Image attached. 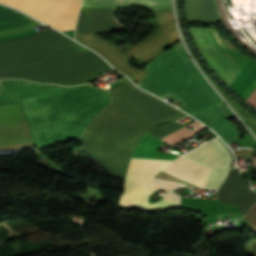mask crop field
<instances>
[{"instance_id":"crop-field-1","label":"crop field","mask_w":256,"mask_h":256,"mask_svg":"<svg viewBox=\"0 0 256 256\" xmlns=\"http://www.w3.org/2000/svg\"><path fill=\"white\" fill-rule=\"evenodd\" d=\"M110 100L107 89L90 84L64 87L0 80V105L21 102L36 147L79 137Z\"/></svg>"},{"instance_id":"crop-field-2","label":"crop field","mask_w":256,"mask_h":256,"mask_svg":"<svg viewBox=\"0 0 256 256\" xmlns=\"http://www.w3.org/2000/svg\"><path fill=\"white\" fill-rule=\"evenodd\" d=\"M112 103L77 140L113 176L124 178L132 152L151 126L187 116L127 79L109 90Z\"/></svg>"},{"instance_id":"crop-field-3","label":"crop field","mask_w":256,"mask_h":256,"mask_svg":"<svg viewBox=\"0 0 256 256\" xmlns=\"http://www.w3.org/2000/svg\"><path fill=\"white\" fill-rule=\"evenodd\" d=\"M95 53L48 28L0 42V78L43 83H86L109 69Z\"/></svg>"},{"instance_id":"crop-field-4","label":"crop field","mask_w":256,"mask_h":256,"mask_svg":"<svg viewBox=\"0 0 256 256\" xmlns=\"http://www.w3.org/2000/svg\"><path fill=\"white\" fill-rule=\"evenodd\" d=\"M137 85L162 99L168 96L180 101V109L212 127L227 144L241 136L226 119L234 116L195 69L180 43L150 62L146 77Z\"/></svg>"},{"instance_id":"crop-field-5","label":"crop field","mask_w":256,"mask_h":256,"mask_svg":"<svg viewBox=\"0 0 256 256\" xmlns=\"http://www.w3.org/2000/svg\"><path fill=\"white\" fill-rule=\"evenodd\" d=\"M151 12L159 27L122 52L116 46L101 40L94 34L76 35V40L100 53L117 70L129 76L134 82L138 81L145 71L130 67L128 65L130 57L147 63L178 39L171 10Z\"/></svg>"},{"instance_id":"crop-field-6","label":"crop field","mask_w":256,"mask_h":256,"mask_svg":"<svg viewBox=\"0 0 256 256\" xmlns=\"http://www.w3.org/2000/svg\"><path fill=\"white\" fill-rule=\"evenodd\" d=\"M170 161L131 158L124 182V193L118 205L125 207L138 206L152 211L168 209L180 205V195L173 191L162 194V198L152 204L146 200L150 194L160 188L166 191L178 186H186L185 183L153 178Z\"/></svg>"},{"instance_id":"crop-field-7","label":"crop field","mask_w":256,"mask_h":256,"mask_svg":"<svg viewBox=\"0 0 256 256\" xmlns=\"http://www.w3.org/2000/svg\"><path fill=\"white\" fill-rule=\"evenodd\" d=\"M184 155L199 163L210 165L212 168L179 156L162 171L201 188L205 185L210 168L211 171L204 188L216 189L228 170L226 167L231 165L229 152L217 139Z\"/></svg>"},{"instance_id":"crop-field-8","label":"crop field","mask_w":256,"mask_h":256,"mask_svg":"<svg viewBox=\"0 0 256 256\" xmlns=\"http://www.w3.org/2000/svg\"><path fill=\"white\" fill-rule=\"evenodd\" d=\"M60 31L74 29L80 0H0Z\"/></svg>"},{"instance_id":"crop-field-9","label":"crop field","mask_w":256,"mask_h":256,"mask_svg":"<svg viewBox=\"0 0 256 256\" xmlns=\"http://www.w3.org/2000/svg\"><path fill=\"white\" fill-rule=\"evenodd\" d=\"M201 53L214 71L229 85L241 72L230 58L214 31L189 26ZM256 108V85L244 98Z\"/></svg>"},{"instance_id":"crop-field-10","label":"crop field","mask_w":256,"mask_h":256,"mask_svg":"<svg viewBox=\"0 0 256 256\" xmlns=\"http://www.w3.org/2000/svg\"><path fill=\"white\" fill-rule=\"evenodd\" d=\"M25 123L20 103L0 106V126ZM33 142L26 124L0 127V147ZM34 144H23L2 147L0 151L33 147Z\"/></svg>"},{"instance_id":"crop-field-11","label":"crop field","mask_w":256,"mask_h":256,"mask_svg":"<svg viewBox=\"0 0 256 256\" xmlns=\"http://www.w3.org/2000/svg\"><path fill=\"white\" fill-rule=\"evenodd\" d=\"M218 202L241 206L237 211L243 215L256 203V195L249 191L245 180L234 170L230 169L227 177L218 189Z\"/></svg>"},{"instance_id":"crop-field-12","label":"crop field","mask_w":256,"mask_h":256,"mask_svg":"<svg viewBox=\"0 0 256 256\" xmlns=\"http://www.w3.org/2000/svg\"><path fill=\"white\" fill-rule=\"evenodd\" d=\"M113 9L81 10L76 33L118 31L122 27L112 18Z\"/></svg>"},{"instance_id":"crop-field-13","label":"crop field","mask_w":256,"mask_h":256,"mask_svg":"<svg viewBox=\"0 0 256 256\" xmlns=\"http://www.w3.org/2000/svg\"><path fill=\"white\" fill-rule=\"evenodd\" d=\"M188 21H209L219 17L212 0H186Z\"/></svg>"},{"instance_id":"crop-field-14","label":"crop field","mask_w":256,"mask_h":256,"mask_svg":"<svg viewBox=\"0 0 256 256\" xmlns=\"http://www.w3.org/2000/svg\"><path fill=\"white\" fill-rule=\"evenodd\" d=\"M33 19L0 5V29L13 28Z\"/></svg>"},{"instance_id":"crop-field-15","label":"crop field","mask_w":256,"mask_h":256,"mask_svg":"<svg viewBox=\"0 0 256 256\" xmlns=\"http://www.w3.org/2000/svg\"><path fill=\"white\" fill-rule=\"evenodd\" d=\"M171 3V0H83L82 6H100V5H129V4H165Z\"/></svg>"},{"instance_id":"crop-field-16","label":"crop field","mask_w":256,"mask_h":256,"mask_svg":"<svg viewBox=\"0 0 256 256\" xmlns=\"http://www.w3.org/2000/svg\"><path fill=\"white\" fill-rule=\"evenodd\" d=\"M197 125H200V124L195 121V122L185 126L184 128L172 133L171 135L161 139V140H163L164 142H166L167 144L172 146V145H174V144H176V143L194 135L198 131L206 128V127L200 125V126L196 127L195 129L190 130V131H187V129H186L189 126H197Z\"/></svg>"},{"instance_id":"crop-field-17","label":"crop field","mask_w":256,"mask_h":256,"mask_svg":"<svg viewBox=\"0 0 256 256\" xmlns=\"http://www.w3.org/2000/svg\"><path fill=\"white\" fill-rule=\"evenodd\" d=\"M219 91L226 98V100L231 104V106L238 112V114L252 129V131L256 134V117L250 114L248 111H246L243 107H241L238 103H236L233 99H231L228 95H226L221 89H219Z\"/></svg>"},{"instance_id":"crop-field-18","label":"crop field","mask_w":256,"mask_h":256,"mask_svg":"<svg viewBox=\"0 0 256 256\" xmlns=\"http://www.w3.org/2000/svg\"><path fill=\"white\" fill-rule=\"evenodd\" d=\"M180 128L182 127L173 121L159 126H152L148 129L147 134L161 139Z\"/></svg>"},{"instance_id":"crop-field-19","label":"crop field","mask_w":256,"mask_h":256,"mask_svg":"<svg viewBox=\"0 0 256 256\" xmlns=\"http://www.w3.org/2000/svg\"><path fill=\"white\" fill-rule=\"evenodd\" d=\"M39 24H41V23L34 20L30 23H27L25 25L19 26V27L14 28V29L2 30V31H0V36L8 35V34L16 33V32L26 31V30H29V29H31V28L39 25Z\"/></svg>"},{"instance_id":"crop-field-20","label":"crop field","mask_w":256,"mask_h":256,"mask_svg":"<svg viewBox=\"0 0 256 256\" xmlns=\"http://www.w3.org/2000/svg\"><path fill=\"white\" fill-rule=\"evenodd\" d=\"M252 231H256V204L251 211L244 215Z\"/></svg>"},{"instance_id":"crop-field-21","label":"crop field","mask_w":256,"mask_h":256,"mask_svg":"<svg viewBox=\"0 0 256 256\" xmlns=\"http://www.w3.org/2000/svg\"><path fill=\"white\" fill-rule=\"evenodd\" d=\"M253 150L249 149H238L234 151V154L236 157L244 158V155H250L253 154Z\"/></svg>"}]
</instances>
